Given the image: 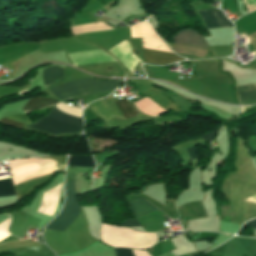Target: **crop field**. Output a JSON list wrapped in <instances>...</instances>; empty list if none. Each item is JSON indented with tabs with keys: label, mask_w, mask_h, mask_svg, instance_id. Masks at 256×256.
I'll use <instances>...</instances> for the list:
<instances>
[{
	"label": "crop field",
	"mask_w": 256,
	"mask_h": 256,
	"mask_svg": "<svg viewBox=\"0 0 256 256\" xmlns=\"http://www.w3.org/2000/svg\"><path fill=\"white\" fill-rule=\"evenodd\" d=\"M79 207L72 180L66 183V203L62 212L46 229L64 232L76 219ZM61 232L45 231L46 243L57 255L77 251L67 230L64 233Z\"/></svg>",
	"instance_id": "1"
},
{
	"label": "crop field",
	"mask_w": 256,
	"mask_h": 256,
	"mask_svg": "<svg viewBox=\"0 0 256 256\" xmlns=\"http://www.w3.org/2000/svg\"><path fill=\"white\" fill-rule=\"evenodd\" d=\"M100 236L105 244L114 247L147 249L158 240L156 233H139L127 228L101 225Z\"/></svg>",
	"instance_id": "2"
},
{
	"label": "crop field",
	"mask_w": 256,
	"mask_h": 256,
	"mask_svg": "<svg viewBox=\"0 0 256 256\" xmlns=\"http://www.w3.org/2000/svg\"><path fill=\"white\" fill-rule=\"evenodd\" d=\"M49 115L54 116L58 119L71 123L75 126L82 128V120L73 116L66 115L60 112L57 108H53ZM45 116L39 119L34 124L28 126L33 129H37L43 132L51 133L53 135L62 134V133H78L81 131L80 128L75 127L71 124L58 120L51 116Z\"/></svg>",
	"instance_id": "3"
},
{
	"label": "crop field",
	"mask_w": 256,
	"mask_h": 256,
	"mask_svg": "<svg viewBox=\"0 0 256 256\" xmlns=\"http://www.w3.org/2000/svg\"><path fill=\"white\" fill-rule=\"evenodd\" d=\"M117 82H121V81H117ZM117 82H102V81H96V80H91V79H82V80L74 81L71 83L55 86L49 90L53 94H58V93L71 91V90H75V89H80V88H85V87H90V86H95V85H101V84L117 83ZM119 84L120 83L95 86V87L75 90V91H71V92H67V93H62V94H58V95H54V96L60 100L74 98V97H79V96H84V95H90V94L115 90Z\"/></svg>",
	"instance_id": "4"
},
{
	"label": "crop field",
	"mask_w": 256,
	"mask_h": 256,
	"mask_svg": "<svg viewBox=\"0 0 256 256\" xmlns=\"http://www.w3.org/2000/svg\"><path fill=\"white\" fill-rule=\"evenodd\" d=\"M172 38L174 42L192 43L207 47L204 38L198 33L191 30H181L177 35L172 36ZM198 45L174 43L175 51L177 53L193 54L203 57L207 48Z\"/></svg>",
	"instance_id": "5"
},
{
	"label": "crop field",
	"mask_w": 256,
	"mask_h": 256,
	"mask_svg": "<svg viewBox=\"0 0 256 256\" xmlns=\"http://www.w3.org/2000/svg\"><path fill=\"white\" fill-rule=\"evenodd\" d=\"M198 13L202 17L208 29L233 26V24L226 19L222 11L219 9L202 10L198 11Z\"/></svg>",
	"instance_id": "6"
},
{
	"label": "crop field",
	"mask_w": 256,
	"mask_h": 256,
	"mask_svg": "<svg viewBox=\"0 0 256 256\" xmlns=\"http://www.w3.org/2000/svg\"><path fill=\"white\" fill-rule=\"evenodd\" d=\"M143 60L146 62L165 64L183 60L174 53L143 48Z\"/></svg>",
	"instance_id": "7"
},
{
	"label": "crop field",
	"mask_w": 256,
	"mask_h": 256,
	"mask_svg": "<svg viewBox=\"0 0 256 256\" xmlns=\"http://www.w3.org/2000/svg\"><path fill=\"white\" fill-rule=\"evenodd\" d=\"M64 67L49 66L42 68V78L46 88L63 80Z\"/></svg>",
	"instance_id": "8"
},
{
	"label": "crop field",
	"mask_w": 256,
	"mask_h": 256,
	"mask_svg": "<svg viewBox=\"0 0 256 256\" xmlns=\"http://www.w3.org/2000/svg\"><path fill=\"white\" fill-rule=\"evenodd\" d=\"M136 217L156 210L150 203L138 198L127 202Z\"/></svg>",
	"instance_id": "9"
},
{
	"label": "crop field",
	"mask_w": 256,
	"mask_h": 256,
	"mask_svg": "<svg viewBox=\"0 0 256 256\" xmlns=\"http://www.w3.org/2000/svg\"><path fill=\"white\" fill-rule=\"evenodd\" d=\"M239 101H251L256 100V85H245L236 87Z\"/></svg>",
	"instance_id": "10"
},
{
	"label": "crop field",
	"mask_w": 256,
	"mask_h": 256,
	"mask_svg": "<svg viewBox=\"0 0 256 256\" xmlns=\"http://www.w3.org/2000/svg\"><path fill=\"white\" fill-rule=\"evenodd\" d=\"M0 122L17 128H21L30 123L23 114L9 115L0 120Z\"/></svg>",
	"instance_id": "11"
},
{
	"label": "crop field",
	"mask_w": 256,
	"mask_h": 256,
	"mask_svg": "<svg viewBox=\"0 0 256 256\" xmlns=\"http://www.w3.org/2000/svg\"><path fill=\"white\" fill-rule=\"evenodd\" d=\"M59 101L52 100L50 98H35V99H29L28 103L23 107V111L29 110V109H35V108H42L49 105H53Z\"/></svg>",
	"instance_id": "12"
},
{
	"label": "crop field",
	"mask_w": 256,
	"mask_h": 256,
	"mask_svg": "<svg viewBox=\"0 0 256 256\" xmlns=\"http://www.w3.org/2000/svg\"><path fill=\"white\" fill-rule=\"evenodd\" d=\"M114 103L122 113L124 119L134 117L138 112L126 99L114 101Z\"/></svg>",
	"instance_id": "13"
},
{
	"label": "crop field",
	"mask_w": 256,
	"mask_h": 256,
	"mask_svg": "<svg viewBox=\"0 0 256 256\" xmlns=\"http://www.w3.org/2000/svg\"><path fill=\"white\" fill-rule=\"evenodd\" d=\"M15 195L10 175L0 177V196Z\"/></svg>",
	"instance_id": "14"
},
{
	"label": "crop field",
	"mask_w": 256,
	"mask_h": 256,
	"mask_svg": "<svg viewBox=\"0 0 256 256\" xmlns=\"http://www.w3.org/2000/svg\"><path fill=\"white\" fill-rule=\"evenodd\" d=\"M68 165H70V166L94 167L92 157H69Z\"/></svg>",
	"instance_id": "15"
},
{
	"label": "crop field",
	"mask_w": 256,
	"mask_h": 256,
	"mask_svg": "<svg viewBox=\"0 0 256 256\" xmlns=\"http://www.w3.org/2000/svg\"><path fill=\"white\" fill-rule=\"evenodd\" d=\"M116 256H134L131 249H114Z\"/></svg>",
	"instance_id": "16"
},
{
	"label": "crop field",
	"mask_w": 256,
	"mask_h": 256,
	"mask_svg": "<svg viewBox=\"0 0 256 256\" xmlns=\"http://www.w3.org/2000/svg\"><path fill=\"white\" fill-rule=\"evenodd\" d=\"M186 149H187V153H188V156L190 159L198 158L195 147H190V148H186Z\"/></svg>",
	"instance_id": "17"
},
{
	"label": "crop field",
	"mask_w": 256,
	"mask_h": 256,
	"mask_svg": "<svg viewBox=\"0 0 256 256\" xmlns=\"http://www.w3.org/2000/svg\"><path fill=\"white\" fill-rule=\"evenodd\" d=\"M138 222V221H137ZM135 219H127L123 224L120 226H139Z\"/></svg>",
	"instance_id": "18"
},
{
	"label": "crop field",
	"mask_w": 256,
	"mask_h": 256,
	"mask_svg": "<svg viewBox=\"0 0 256 256\" xmlns=\"http://www.w3.org/2000/svg\"><path fill=\"white\" fill-rule=\"evenodd\" d=\"M220 128H221V127H220ZM220 128H218V129H216V130H214V131L208 133L207 135L201 137V139L210 142V140L212 139V137L217 133V131H218Z\"/></svg>",
	"instance_id": "19"
},
{
	"label": "crop field",
	"mask_w": 256,
	"mask_h": 256,
	"mask_svg": "<svg viewBox=\"0 0 256 256\" xmlns=\"http://www.w3.org/2000/svg\"><path fill=\"white\" fill-rule=\"evenodd\" d=\"M135 256H149L145 251L132 249Z\"/></svg>",
	"instance_id": "20"
},
{
	"label": "crop field",
	"mask_w": 256,
	"mask_h": 256,
	"mask_svg": "<svg viewBox=\"0 0 256 256\" xmlns=\"http://www.w3.org/2000/svg\"><path fill=\"white\" fill-rule=\"evenodd\" d=\"M246 225H247V226H250V227H253V228L256 229V220H253V221H251V222H248Z\"/></svg>",
	"instance_id": "21"
}]
</instances>
